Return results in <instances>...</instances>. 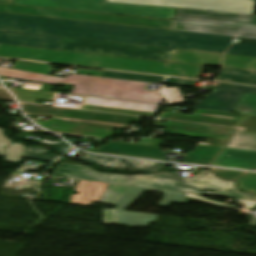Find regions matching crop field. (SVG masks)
<instances>
[{"mask_svg":"<svg viewBox=\"0 0 256 256\" xmlns=\"http://www.w3.org/2000/svg\"><path fill=\"white\" fill-rule=\"evenodd\" d=\"M14 2L15 0H0V3L14 4ZM107 2L171 6L252 15L256 0H107Z\"/></svg>","mask_w":256,"mask_h":256,"instance_id":"3316defc","label":"crop field"},{"mask_svg":"<svg viewBox=\"0 0 256 256\" xmlns=\"http://www.w3.org/2000/svg\"><path fill=\"white\" fill-rule=\"evenodd\" d=\"M170 29L256 38V16L180 9Z\"/></svg>","mask_w":256,"mask_h":256,"instance_id":"dd49c442","label":"crop field"},{"mask_svg":"<svg viewBox=\"0 0 256 256\" xmlns=\"http://www.w3.org/2000/svg\"><path fill=\"white\" fill-rule=\"evenodd\" d=\"M252 220H253L254 225L256 226V219H252Z\"/></svg>","mask_w":256,"mask_h":256,"instance_id":"b54c1fbb","label":"crop field"},{"mask_svg":"<svg viewBox=\"0 0 256 256\" xmlns=\"http://www.w3.org/2000/svg\"><path fill=\"white\" fill-rule=\"evenodd\" d=\"M223 56L224 55L220 54L177 50L171 62L221 67V59Z\"/></svg>","mask_w":256,"mask_h":256,"instance_id":"214f88e0","label":"crop field"},{"mask_svg":"<svg viewBox=\"0 0 256 256\" xmlns=\"http://www.w3.org/2000/svg\"><path fill=\"white\" fill-rule=\"evenodd\" d=\"M0 29L226 54L235 37L0 13Z\"/></svg>","mask_w":256,"mask_h":256,"instance_id":"8a807250","label":"crop field"},{"mask_svg":"<svg viewBox=\"0 0 256 256\" xmlns=\"http://www.w3.org/2000/svg\"><path fill=\"white\" fill-rule=\"evenodd\" d=\"M9 89L17 95L19 101L29 102V103H35L36 99L49 100L53 98L55 94L52 92L44 93L41 91L26 90V89H15V88H9Z\"/></svg>","mask_w":256,"mask_h":256,"instance_id":"eef30255","label":"crop field"},{"mask_svg":"<svg viewBox=\"0 0 256 256\" xmlns=\"http://www.w3.org/2000/svg\"><path fill=\"white\" fill-rule=\"evenodd\" d=\"M0 100H8V101H13L11 95L6 92L4 89L0 90Z\"/></svg>","mask_w":256,"mask_h":256,"instance_id":"b80d0937","label":"crop field"},{"mask_svg":"<svg viewBox=\"0 0 256 256\" xmlns=\"http://www.w3.org/2000/svg\"><path fill=\"white\" fill-rule=\"evenodd\" d=\"M45 152H47V150L43 148L25 147L22 157L50 162H54L56 158L60 157L59 155H44Z\"/></svg>","mask_w":256,"mask_h":256,"instance_id":"bd1437ed","label":"crop field"},{"mask_svg":"<svg viewBox=\"0 0 256 256\" xmlns=\"http://www.w3.org/2000/svg\"><path fill=\"white\" fill-rule=\"evenodd\" d=\"M227 54L256 57V39L236 37Z\"/></svg>","mask_w":256,"mask_h":256,"instance_id":"a9b5d70f","label":"crop field"},{"mask_svg":"<svg viewBox=\"0 0 256 256\" xmlns=\"http://www.w3.org/2000/svg\"><path fill=\"white\" fill-rule=\"evenodd\" d=\"M49 67L50 64L16 61L13 68L49 75L54 71Z\"/></svg>","mask_w":256,"mask_h":256,"instance_id":"750c4746","label":"crop field"},{"mask_svg":"<svg viewBox=\"0 0 256 256\" xmlns=\"http://www.w3.org/2000/svg\"><path fill=\"white\" fill-rule=\"evenodd\" d=\"M101 77L127 79V80H138V81H146V82H153V83H162V81L164 79V77H160V76H150V75L111 72V71H104V73L101 75Z\"/></svg>","mask_w":256,"mask_h":256,"instance_id":"730fd06b","label":"crop field"},{"mask_svg":"<svg viewBox=\"0 0 256 256\" xmlns=\"http://www.w3.org/2000/svg\"><path fill=\"white\" fill-rule=\"evenodd\" d=\"M0 57L32 59L50 63L155 73L194 79H198L200 72L204 69L201 66L70 53L3 44H0Z\"/></svg>","mask_w":256,"mask_h":256,"instance_id":"34b2d1b8","label":"crop field"},{"mask_svg":"<svg viewBox=\"0 0 256 256\" xmlns=\"http://www.w3.org/2000/svg\"><path fill=\"white\" fill-rule=\"evenodd\" d=\"M58 50L170 62L175 49L64 38Z\"/></svg>","mask_w":256,"mask_h":256,"instance_id":"d8731c3e","label":"crop field"},{"mask_svg":"<svg viewBox=\"0 0 256 256\" xmlns=\"http://www.w3.org/2000/svg\"><path fill=\"white\" fill-rule=\"evenodd\" d=\"M62 37L0 31V43L57 50Z\"/></svg>","mask_w":256,"mask_h":256,"instance_id":"cbeb9de0","label":"crop field"},{"mask_svg":"<svg viewBox=\"0 0 256 256\" xmlns=\"http://www.w3.org/2000/svg\"><path fill=\"white\" fill-rule=\"evenodd\" d=\"M217 173V176L222 177L226 180H231L235 177L245 174L244 172H234V171H225V170H215L211 169Z\"/></svg>","mask_w":256,"mask_h":256,"instance_id":"120bbe31","label":"crop field"},{"mask_svg":"<svg viewBox=\"0 0 256 256\" xmlns=\"http://www.w3.org/2000/svg\"><path fill=\"white\" fill-rule=\"evenodd\" d=\"M217 81L256 85V72L224 68Z\"/></svg>","mask_w":256,"mask_h":256,"instance_id":"dafd665d","label":"crop field"},{"mask_svg":"<svg viewBox=\"0 0 256 256\" xmlns=\"http://www.w3.org/2000/svg\"><path fill=\"white\" fill-rule=\"evenodd\" d=\"M221 150L220 147L199 145L194 152L182 155L186 156L183 162L211 165Z\"/></svg>","mask_w":256,"mask_h":256,"instance_id":"92a150f3","label":"crop field"},{"mask_svg":"<svg viewBox=\"0 0 256 256\" xmlns=\"http://www.w3.org/2000/svg\"><path fill=\"white\" fill-rule=\"evenodd\" d=\"M81 159L89 160L91 162L97 163L99 165L110 167V168H118V169H126V170H134V171H143L154 173L156 171L161 170L167 164L163 163H152V162H143L129 159H121V158H109V157H101L90 154H84Z\"/></svg>","mask_w":256,"mask_h":256,"instance_id":"d9b57169","label":"crop field"},{"mask_svg":"<svg viewBox=\"0 0 256 256\" xmlns=\"http://www.w3.org/2000/svg\"><path fill=\"white\" fill-rule=\"evenodd\" d=\"M47 143L53 145L55 148H57L59 151H62V152H65L66 150L69 149L68 144L65 143L64 141H51V140H49Z\"/></svg>","mask_w":256,"mask_h":256,"instance_id":"028f5c9d","label":"crop field"},{"mask_svg":"<svg viewBox=\"0 0 256 256\" xmlns=\"http://www.w3.org/2000/svg\"><path fill=\"white\" fill-rule=\"evenodd\" d=\"M27 114H29V113H27ZM32 115H38V114H32ZM43 116H49V115H43ZM50 117H52L50 121H54V122H64V123L83 124V125H92V126H101V127H111V128H119V129H127L128 128V125H124V124L104 123V122H96V121L81 120V119L66 118V117H58V116H50Z\"/></svg>","mask_w":256,"mask_h":256,"instance_id":"ae1a2a85","label":"crop field"},{"mask_svg":"<svg viewBox=\"0 0 256 256\" xmlns=\"http://www.w3.org/2000/svg\"><path fill=\"white\" fill-rule=\"evenodd\" d=\"M23 145L15 144L3 135V129H0V156L7 157L5 160L18 163L24 150Z\"/></svg>","mask_w":256,"mask_h":256,"instance_id":"00972430","label":"crop field"},{"mask_svg":"<svg viewBox=\"0 0 256 256\" xmlns=\"http://www.w3.org/2000/svg\"><path fill=\"white\" fill-rule=\"evenodd\" d=\"M158 106L159 105L155 104L86 97V104L81 109L98 110L135 116H154Z\"/></svg>","mask_w":256,"mask_h":256,"instance_id":"28ad6ade","label":"crop field"},{"mask_svg":"<svg viewBox=\"0 0 256 256\" xmlns=\"http://www.w3.org/2000/svg\"><path fill=\"white\" fill-rule=\"evenodd\" d=\"M238 182V187L244 191H252L256 193V173H250L240 179L235 180Z\"/></svg>","mask_w":256,"mask_h":256,"instance_id":"1d83c4d3","label":"crop field"},{"mask_svg":"<svg viewBox=\"0 0 256 256\" xmlns=\"http://www.w3.org/2000/svg\"><path fill=\"white\" fill-rule=\"evenodd\" d=\"M1 13L41 16V17H52L72 20H83L103 23H114L154 28L169 29L172 22L170 20L140 18L131 16L91 13L82 11L42 8V7H30V6H18L0 4Z\"/></svg>","mask_w":256,"mask_h":256,"instance_id":"5a996713","label":"crop field"},{"mask_svg":"<svg viewBox=\"0 0 256 256\" xmlns=\"http://www.w3.org/2000/svg\"><path fill=\"white\" fill-rule=\"evenodd\" d=\"M214 165L254 169L256 168V152L225 148Z\"/></svg>","mask_w":256,"mask_h":256,"instance_id":"4a817a6b","label":"crop field"},{"mask_svg":"<svg viewBox=\"0 0 256 256\" xmlns=\"http://www.w3.org/2000/svg\"><path fill=\"white\" fill-rule=\"evenodd\" d=\"M234 112L256 115V94L243 93Z\"/></svg>","mask_w":256,"mask_h":256,"instance_id":"d3111659","label":"crop field"},{"mask_svg":"<svg viewBox=\"0 0 256 256\" xmlns=\"http://www.w3.org/2000/svg\"><path fill=\"white\" fill-rule=\"evenodd\" d=\"M75 71L78 72V74H84L89 76H96L100 77V75L103 73V71L100 70H90V69H80V68H74Z\"/></svg>","mask_w":256,"mask_h":256,"instance_id":"5866460e","label":"crop field"},{"mask_svg":"<svg viewBox=\"0 0 256 256\" xmlns=\"http://www.w3.org/2000/svg\"><path fill=\"white\" fill-rule=\"evenodd\" d=\"M0 76L47 83L75 85L71 94L92 97H104L160 104L162 98L158 93L140 90L142 82L95 78L74 74L65 79L36 74L26 71L0 67Z\"/></svg>","mask_w":256,"mask_h":256,"instance_id":"412701ff","label":"crop field"},{"mask_svg":"<svg viewBox=\"0 0 256 256\" xmlns=\"http://www.w3.org/2000/svg\"><path fill=\"white\" fill-rule=\"evenodd\" d=\"M214 89L221 91L206 96L205 101L199 102L196 109L232 113L242 92L256 93V88L254 87L221 83H219V86L214 87Z\"/></svg>","mask_w":256,"mask_h":256,"instance_id":"d1516ede","label":"crop field"},{"mask_svg":"<svg viewBox=\"0 0 256 256\" xmlns=\"http://www.w3.org/2000/svg\"><path fill=\"white\" fill-rule=\"evenodd\" d=\"M227 147L256 151V116L247 115Z\"/></svg>","mask_w":256,"mask_h":256,"instance_id":"bc2a9ffb","label":"crop field"},{"mask_svg":"<svg viewBox=\"0 0 256 256\" xmlns=\"http://www.w3.org/2000/svg\"><path fill=\"white\" fill-rule=\"evenodd\" d=\"M41 166H43V165L39 164L37 167L24 165L20 169H18L17 171L18 172H25V173L27 172V170L37 171Z\"/></svg>","mask_w":256,"mask_h":256,"instance_id":"0bd39190","label":"crop field"},{"mask_svg":"<svg viewBox=\"0 0 256 256\" xmlns=\"http://www.w3.org/2000/svg\"><path fill=\"white\" fill-rule=\"evenodd\" d=\"M15 4L173 19L178 8L106 3V0H16Z\"/></svg>","mask_w":256,"mask_h":256,"instance_id":"e52e79f7","label":"crop field"},{"mask_svg":"<svg viewBox=\"0 0 256 256\" xmlns=\"http://www.w3.org/2000/svg\"><path fill=\"white\" fill-rule=\"evenodd\" d=\"M20 104L23 110L29 113L58 115V116L74 117V118L89 119V120L104 121V122L124 123V124H129L132 121H139V118L137 117L98 113V112H88V111H81V110H75V109L35 106V105H27L22 103Z\"/></svg>","mask_w":256,"mask_h":256,"instance_id":"22f410ed","label":"crop field"},{"mask_svg":"<svg viewBox=\"0 0 256 256\" xmlns=\"http://www.w3.org/2000/svg\"><path fill=\"white\" fill-rule=\"evenodd\" d=\"M52 176L83 179L97 182H108L126 184L132 186L153 187L195 194L232 197L240 199L255 200L256 196L239 192L232 182L223 181L209 171H204L192 179H186L167 172L157 173L150 176L121 177L97 173L82 165H71L61 163ZM199 189L216 190V193H207Z\"/></svg>","mask_w":256,"mask_h":256,"instance_id":"ac0d7876","label":"crop field"},{"mask_svg":"<svg viewBox=\"0 0 256 256\" xmlns=\"http://www.w3.org/2000/svg\"><path fill=\"white\" fill-rule=\"evenodd\" d=\"M223 67L256 70V58L226 55L223 61Z\"/></svg>","mask_w":256,"mask_h":256,"instance_id":"4177f3b9","label":"crop field"},{"mask_svg":"<svg viewBox=\"0 0 256 256\" xmlns=\"http://www.w3.org/2000/svg\"><path fill=\"white\" fill-rule=\"evenodd\" d=\"M160 149L161 147L110 142L107 145L99 148L97 153L162 160L165 152L160 151Z\"/></svg>","mask_w":256,"mask_h":256,"instance_id":"5142ce71","label":"crop field"},{"mask_svg":"<svg viewBox=\"0 0 256 256\" xmlns=\"http://www.w3.org/2000/svg\"><path fill=\"white\" fill-rule=\"evenodd\" d=\"M40 141L46 143L48 141V139H41Z\"/></svg>","mask_w":256,"mask_h":256,"instance_id":"03da06ac","label":"crop field"},{"mask_svg":"<svg viewBox=\"0 0 256 256\" xmlns=\"http://www.w3.org/2000/svg\"><path fill=\"white\" fill-rule=\"evenodd\" d=\"M122 176V175H121Z\"/></svg>","mask_w":256,"mask_h":256,"instance_id":"5d738f31","label":"crop field"},{"mask_svg":"<svg viewBox=\"0 0 256 256\" xmlns=\"http://www.w3.org/2000/svg\"><path fill=\"white\" fill-rule=\"evenodd\" d=\"M237 201L245 204L247 206V208H251L256 205L255 201H247V200H240V199H237ZM251 204H254V205H251Z\"/></svg>","mask_w":256,"mask_h":256,"instance_id":"c035e120","label":"crop field"},{"mask_svg":"<svg viewBox=\"0 0 256 256\" xmlns=\"http://www.w3.org/2000/svg\"><path fill=\"white\" fill-rule=\"evenodd\" d=\"M244 117L200 110H195L193 116L164 112L157 119L156 127L177 130V135L215 139L213 145L224 147Z\"/></svg>","mask_w":256,"mask_h":256,"instance_id":"f4fd0767","label":"crop field"},{"mask_svg":"<svg viewBox=\"0 0 256 256\" xmlns=\"http://www.w3.org/2000/svg\"><path fill=\"white\" fill-rule=\"evenodd\" d=\"M193 82H200V81L167 78L164 83L191 87Z\"/></svg>","mask_w":256,"mask_h":256,"instance_id":"d32e631a","label":"crop field"},{"mask_svg":"<svg viewBox=\"0 0 256 256\" xmlns=\"http://www.w3.org/2000/svg\"><path fill=\"white\" fill-rule=\"evenodd\" d=\"M162 140L152 139L149 145L159 146Z\"/></svg>","mask_w":256,"mask_h":256,"instance_id":"c21b1889","label":"crop field"},{"mask_svg":"<svg viewBox=\"0 0 256 256\" xmlns=\"http://www.w3.org/2000/svg\"><path fill=\"white\" fill-rule=\"evenodd\" d=\"M39 125L46 127L56 133L86 136L92 138L106 139L112 136L115 129L92 126H82L64 123H54L42 120H34ZM45 128V129H46Z\"/></svg>","mask_w":256,"mask_h":256,"instance_id":"733c2abd","label":"crop field"},{"mask_svg":"<svg viewBox=\"0 0 256 256\" xmlns=\"http://www.w3.org/2000/svg\"><path fill=\"white\" fill-rule=\"evenodd\" d=\"M186 195H187V197L199 198V199H201L202 201L207 202V203H210V204H213V205H219V206L231 208V207H229V206L226 205V204H222V203L214 202V201H211V200H207V199H205V198H203V197H200V196H198V195L188 194V193H186Z\"/></svg>","mask_w":256,"mask_h":256,"instance_id":"e1f06a70","label":"crop field"}]
</instances>
